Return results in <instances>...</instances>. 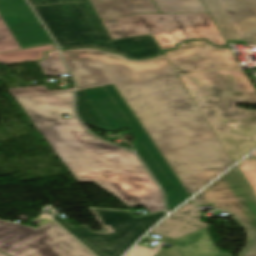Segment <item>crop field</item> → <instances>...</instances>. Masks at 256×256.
Here are the masks:
<instances>
[{
  "label": "crop field",
  "instance_id": "obj_1",
  "mask_svg": "<svg viewBox=\"0 0 256 256\" xmlns=\"http://www.w3.org/2000/svg\"><path fill=\"white\" fill-rule=\"evenodd\" d=\"M77 90L113 83L190 196L233 164L165 55L62 51Z\"/></svg>",
  "mask_w": 256,
  "mask_h": 256
},
{
  "label": "crop field",
  "instance_id": "obj_2",
  "mask_svg": "<svg viewBox=\"0 0 256 256\" xmlns=\"http://www.w3.org/2000/svg\"><path fill=\"white\" fill-rule=\"evenodd\" d=\"M78 182H94L127 206L164 210L163 195L131 152L99 143L78 144L62 122L78 121L73 92L16 98ZM69 114L60 119L57 115Z\"/></svg>",
  "mask_w": 256,
  "mask_h": 256
},
{
  "label": "crop field",
  "instance_id": "obj_3",
  "mask_svg": "<svg viewBox=\"0 0 256 256\" xmlns=\"http://www.w3.org/2000/svg\"><path fill=\"white\" fill-rule=\"evenodd\" d=\"M180 78L234 163L256 147V130L252 125L256 110L234 105L256 104V92L244 70H215ZM226 119L240 120L245 127H224Z\"/></svg>",
  "mask_w": 256,
  "mask_h": 256
},
{
  "label": "crop field",
  "instance_id": "obj_4",
  "mask_svg": "<svg viewBox=\"0 0 256 256\" xmlns=\"http://www.w3.org/2000/svg\"><path fill=\"white\" fill-rule=\"evenodd\" d=\"M61 49L92 47L146 58L162 53L151 34L113 40L90 0H28Z\"/></svg>",
  "mask_w": 256,
  "mask_h": 256
},
{
  "label": "crop field",
  "instance_id": "obj_5",
  "mask_svg": "<svg viewBox=\"0 0 256 256\" xmlns=\"http://www.w3.org/2000/svg\"><path fill=\"white\" fill-rule=\"evenodd\" d=\"M76 99L82 121L107 131L129 129L134 149L165 190L169 209L190 197L113 84L78 91Z\"/></svg>",
  "mask_w": 256,
  "mask_h": 256
},
{
  "label": "crop field",
  "instance_id": "obj_6",
  "mask_svg": "<svg viewBox=\"0 0 256 256\" xmlns=\"http://www.w3.org/2000/svg\"><path fill=\"white\" fill-rule=\"evenodd\" d=\"M0 250L12 256H94L54 222L34 229L0 221Z\"/></svg>",
  "mask_w": 256,
  "mask_h": 256
},
{
  "label": "crop field",
  "instance_id": "obj_7",
  "mask_svg": "<svg viewBox=\"0 0 256 256\" xmlns=\"http://www.w3.org/2000/svg\"><path fill=\"white\" fill-rule=\"evenodd\" d=\"M199 206L214 203L217 211L227 210L251 234L241 256H256V197L235 168L194 197Z\"/></svg>",
  "mask_w": 256,
  "mask_h": 256
},
{
  "label": "crop field",
  "instance_id": "obj_8",
  "mask_svg": "<svg viewBox=\"0 0 256 256\" xmlns=\"http://www.w3.org/2000/svg\"><path fill=\"white\" fill-rule=\"evenodd\" d=\"M51 43L24 0H0V53Z\"/></svg>",
  "mask_w": 256,
  "mask_h": 256
},
{
  "label": "crop field",
  "instance_id": "obj_9",
  "mask_svg": "<svg viewBox=\"0 0 256 256\" xmlns=\"http://www.w3.org/2000/svg\"><path fill=\"white\" fill-rule=\"evenodd\" d=\"M113 39L152 33L164 52L188 39L171 14H138L103 20Z\"/></svg>",
  "mask_w": 256,
  "mask_h": 256
},
{
  "label": "crop field",
  "instance_id": "obj_10",
  "mask_svg": "<svg viewBox=\"0 0 256 256\" xmlns=\"http://www.w3.org/2000/svg\"><path fill=\"white\" fill-rule=\"evenodd\" d=\"M201 1L227 42H256V0Z\"/></svg>",
  "mask_w": 256,
  "mask_h": 256
},
{
  "label": "crop field",
  "instance_id": "obj_11",
  "mask_svg": "<svg viewBox=\"0 0 256 256\" xmlns=\"http://www.w3.org/2000/svg\"><path fill=\"white\" fill-rule=\"evenodd\" d=\"M230 50L228 46L221 49L206 41H196L184 43L178 50L167 51L165 55L177 74L218 68L240 69Z\"/></svg>",
  "mask_w": 256,
  "mask_h": 256
},
{
  "label": "crop field",
  "instance_id": "obj_12",
  "mask_svg": "<svg viewBox=\"0 0 256 256\" xmlns=\"http://www.w3.org/2000/svg\"><path fill=\"white\" fill-rule=\"evenodd\" d=\"M58 216L56 215L52 218L97 256H121L128 250L116 233L104 234L92 232L85 225L72 228Z\"/></svg>",
  "mask_w": 256,
  "mask_h": 256
},
{
  "label": "crop field",
  "instance_id": "obj_13",
  "mask_svg": "<svg viewBox=\"0 0 256 256\" xmlns=\"http://www.w3.org/2000/svg\"><path fill=\"white\" fill-rule=\"evenodd\" d=\"M201 218L198 208L191 200L156 226L151 233L177 239L210 225L199 221Z\"/></svg>",
  "mask_w": 256,
  "mask_h": 256
},
{
  "label": "crop field",
  "instance_id": "obj_14",
  "mask_svg": "<svg viewBox=\"0 0 256 256\" xmlns=\"http://www.w3.org/2000/svg\"><path fill=\"white\" fill-rule=\"evenodd\" d=\"M101 19L138 13H160L153 0H91Z\"/></svg>",
  "mask_w": 256,
  "mask_h": 256
},
{
  "label": "crop field",
  "instance_id": "obj_15",
  "mask_svg": "<svg viewBox=\"0 0 256 256\" xmlns=\"http://www.w3.org/2000/svg\"><path fill=\"white\" fill-rule=\"evenodd\" d=\"M179 17L190 38L207 39L218 46L226 44L209 14H175Z\"/></svg>",
  "mask_w": 256,
  "mask_h": 256
},
{
  "label": "crop field",
  "instance_id": "obj_16",
  "mask_svg": "<svg viewBox=\"0 0 256 256\" xmlns=\"http://www.w3.org/2000/svg\"><path fill=\"white\" fill-rule=\"evenodd\" d=\"M209 228L210 226L170 243L176 245L181 256H231L216 248L208 235Z\"/></svg>",
  "mask_w": 256,
  "mask_h": 256
},
{
  "label": "crop field",
  "instance_id": "obj_17",
  "mask_svg": "<svg viewBox=\"0 0 256 256\" xmlns=\"http://www.w3.org/2000/svg\"><path fill=\"white\" fill-rule=\"evenodd\" d=\"M165 215V211L139 217L116 224H112V228L119 235L128 249L156 222Z\"/></svg>",
  "mask_w": 256,
  "mask_h": 256
},
{
  "label": "crop field",
  "instance_id": "obj_18",
  "mask_svg": "<svg viewBox=\"0 0 256 256\" xmlns=\"http://www.w3.org/2000/svg\"><path fill=\"white\" fill-rule=\"evenodd\" d=\"M161 13H208L200 0H154Z\"/></svg>",
  "mask_w": 256,
  "mask_h": 256
},
{
  "label": "crop field",
  "instance_id": "obj_19",
  "mask_svg": "<svg viewBox=\"0 0 256 256\" xmlns=\"http://www.w3.org/2000/svg\"><path fill=\"white\" fill-rule=\"evenodd\" d=\"M55 49L54 45H45L35 48H29L19 51H13L8 53L0 54V62L11 64L23 61H34L44 58L46 55L43 54L44 51Z\"/></svg>",
  "mask_w": 256,
  "mask_h": 256
},
{
  "label": "crop field",
  "instance_id": "obj_20",
  "mask_svg": "<svg viewBox=\"0 0 256 256\" xmlns=\"http://www.w3.org/2000/svg\"><path fill=\"white\" fill-rule=\"evenodd\" d=\"M46 54H48V56L44 60L39 61L45 75H60L67 73L58 51Z\"/></svg>",
  "mask_w": 256,
  "mask_h": 256
},
{
  "label": "crop field",
  "instance_id": "obj_21",
  "mask_svg": "<svg viewBox=\"0 0 256 256\" xmlns=\"http://www.w3.org/2000/svg\"><path fill=\"white\" fill-rule=\"evenodd\" d=\"M104 225L112 224L128 219H132L133 216L130 212L125 211H113V210H99L93 209Z\"/></svg>",
  "mask_w": 256,
  "mask_h": 256
},
{
  "label": "crop field",
  "instance_id": "obj_22",
  "mask_svg": "<svg viewBox=\"0 0 256 256\" xmlns=\"http://www.w3.org/2000/svg\"><path fill=\"white\" fill-rule=\"evenodd\" d=\"M64 124L68 128V130L71 132V134L74 136V138L77 140L78 143L87 142V141L105 143L97 139L96 137L92 136L88 131H86L83 128V126L80 124V122H71V123H64Z\"/></svg>",
  "mask_w": 256,
  "mask_h": 256
},
{
  "label": "crop field",
  "instance_id": "obj_23",
  "mask_svg": "<svg viewBox=\"0 0 256 256\" xmlns=\"http://www.w3.org/2000/svg\"><path fill=\"white\" fill-rule=\"evenodd\" d=\"M237 165L256 192V159L246 158Z\"/></svg>",
  "mask_w": 256,
  "mask_h": 256
},
{
  "label": "crop field",
  "instance_id": "obj_24",
  "mask_svg": "<svg viewBox=\"0 0 256 256\" xmlns=\"http://www.w3.org/2000/svg\"><path fill=\"white\" fill-rule=\"evenodd\" d=\"M69 91H73V89L48 91L44 86L10 90L13 97L69 92Z\"/></svg>",
  "mask_w": 256,
  "mask_h": 256
},
{
  "label": "crop field",
  "instance_id": "obj_25",
  "mask_svg": "<svg viewBox=\"0 0 256 256\" xmlns=\"http://www.w3.org/2000/svg\"><path fill=\"white\" fill-rule=\"evenodd\" d=\"M250 156H256V152H254L252 155H250Z\"/></svg>",
  "mask_w": 256,
  "mask_h": 256
},
{
  "label": "crop field",
  "instance_id": "obj_26",
  "mask_svg": "<svg viewBox=\"0 0 256 256\" xmlns=\"http://www.w3.org/2000/svg\"><path fill=\"white\" fill-rule=\"evenodd\" d=\"M0 256H6V255H4V254L0 253Z\"/></svg>",
  "mask_w": 256,
  "mask_h": 256
}]
</instances>
